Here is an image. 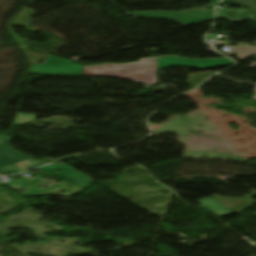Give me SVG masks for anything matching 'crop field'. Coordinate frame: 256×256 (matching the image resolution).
Wrapping results in <instances>:
<instances>
[{"instance_id": "crop-field-1", "label": "crop field", "mask_w": 256, "mask_h": 256, "mask_svg": "<svg viewBox=\"0 0 256 256\" xmlns=\"http://www.w3.org/2000/svg\"><path fill=\"white\" fill-rule=\"evenodd\" d=\"M157 60V62H152ZM158 58L141 59L133 64H106L103 66L83 67L68 60L49 55L43 65H31V74L61 75H103L116 76L127 80L144 83H156Z\"/></svg>"}, {"instance_id": "crop-field-2", "label": "crop field", "mask_w": 256, "mask_h": 256, "mask_svg": "<svg viewBox=\"0 0 256 256\" xmlns=\"http://www.w3.org/2000/svg\"><path fill=\"white\" fill-rule=\"evenodd\" d=\"M40 170L51 174L57 178H63L65 181V184L60 185L57 184L53 187H58L61 186V188L59 189H64L67 193L65 194H56V195H60L64 198H68L72 195L75 194H79L82 191H84L85 189H87L91 184H93L95 181L81 175L80 173L76 172L75 170L61 165V164H53L44 168H41ZM60 170L61 173H57L56 171ZM41 179H36V180H32L29 181L28 179L26 180H12L11 182L5 184L8 187H10L11 189L15 190V189H27L28 191L26 193H23L26 196H39V195H45V194H54L52 193L55 190H59V189H54L51 190V188H46V189H42L39 190L34 186V181H39Z\"/></svg>"}, {"instance_id": "crop-field-3", "label": "crop field", "mask_w": 256, "mask_h": 256, "mask_svg": "<svg viewBox=\"0 0 256 256\" xmlns=\"http://www.w3.org/2000/svg\"><path fill=\"white\" fill-rule=\"evenodd\" d=\"M213 3L208 5L210 11H203L199 9H192L188 11H174V12H134L132 14L154 17V18H164L175 20L184 24L199 22L203 20H214V5L219 0H211Z\"/></svg>"}, {"instance_id": "crop-field-4", "label": "crop field", "mask_w": 256, "mask_h": 256, "mask_svg": "<svg viewBox=\"0 0 256 256\" xmlns=\"http://www.w3.org/2000/svg\"><path fill=\"white\" fill-rule=\"evenodd\" d=\"M10 137H0V171H18L41 165L40 161L24 157L7 146Z\"/></svg>"}, {"instance_id": "crop-field-5", "label": "crop field", "mask_w": 256, "mask_h": 256, "mask_svg": "<svg viewBox=\"0 0 256 256\" xmlns=\"http://www.w3.org/2000/svg\"><path fill=\"white\" fill-rule=\"evenodd\" d=\"M190 62H194V65H190ZM233 64L232 61L228 59H183L179 57H164L159 58L158 69H164L172 66H191L198 68H210L213 66H225Z\"/></svg>"}, {"instance_id": "crop-field-6", "label": "crop field", "mask_w": 256, "mask_h": 256, "mask_svg": "<svg viewBox=\"0 0 256 256\" xmlns=\"http://www.w3.org/2000/svg\"><path fill=\"white\" fill-rule=\"evenodd\" d=\"M221 3L226 4V5L244 6V7L248 8L250 11L242 12V11L219 10L217 12L218 16H220L230 22H233V23H237V22H241V21H245V20H252V21L256 22V11L254 9H252L250 6L243 4V3L231 1V0H224Z\"/></svg>"}, {"instance_id": "crop-field-7", "label": "crop field", "mask_w": 256, "mask_h": 256, "mask_svg": "<svg viewBox=\"0 0 256 256\" xmlns=\"http://www.w3.org/2000/svg\"><path fill=\"white\" fill-rule=\"evenodd\" d=\"M198 203H200L201 205L205 206L207 209H209L210 211L214 212L219 217H222L224 215L233 213L232 211H230L229 209H227V208L223 207L222 205L218 204L217 202H215L211 198L203 200V201H200Z\"/></svg>"}, {"instance_id": "crop-field-8", "label": "crop field", "mask_w": 256, "mask_h": 256, "mask_svg": "<svg viewBox=\"0 0 256 256\" xmlns=\"http://www.w3.org/2000/svg\"><path fill=\"white\" fill-rule=\"evenodd\" d=\"M233 51H237L239 53L238 54L239 58L242 59V60H244V59H246V58L256 54V48L251 47V46H249V47H241V46H239V47L233 48ZM232 52H230V54L227 53V55L228 56L232 55ZM255 65H256V63L251 65V66H249V67H247V69H249V68H251V67H253Z\"/></svg>"}, {"instance_id": "crop-field-9", "label": "crop field", "mask_w": 256, "mask_h": 256, "mask_svg": "<svg viewBox=\"0 0 256 256\" xmlns=\"http://www.w3.org/2000/svg\"><path fill=\"white\" fill-rule=\"evenodd\" d=\"M38 116H33V115H28V114H22V113H18L16 121H15V125L13 127V129L20 125V124H25L27 122H30L32 120H34L35 118H37ZM13 129L11 130V132L13 131Z\"/></svg>"}, {"instance_id": "crop-field-10", "label": "crop field", "mask_w": 256, "mask_h": 256, "mask_svg": "<svg viewBox=\"0 0 256 256\" xmlns=\"http://www.w3.org/2000/svg\"><path fill=\"white\" fill-rule=\"evenodd\" d=\"M238 1L247 3L256 9V2H254L253 0H238Z\"/></svg>"}, {"instance_id": "crop-field-11", "label": "crop field", "mask_w": 256, "mask_h": 256, "mask_svg": "<svg viewBox=\"0 0 256 256\" xmlns=\"http://www.w3.org/2000/svg\"><path fill=\"white\" fill-rule=\"evenodd\" d=\"M77 155H81V154H74L72 156L64 157V158H61V159L71 158V157H74V156H77ZM61 159H59V160H61Z\"/></svg>"}, {"instance_id": "crop-field-12", "label": "crop field", "mask_w": 256, "mask_h": 256, "mask_svg": "<svg viewBox=\"0 0 256 256\" xmlns=\"http://www.w3.org/2000/svg\"><path fill=\"white\" fill-rule=\"evenodd\" d=\"M255 93H256V91H255Z\"/></svg>"}]
</instances>
